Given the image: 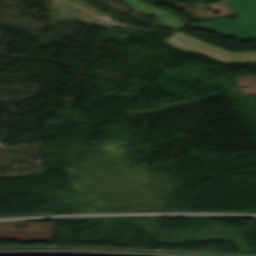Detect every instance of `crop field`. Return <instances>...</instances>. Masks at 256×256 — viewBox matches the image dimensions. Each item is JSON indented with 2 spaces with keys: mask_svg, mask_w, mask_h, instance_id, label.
Segmentation results:
<instances>
[{
  "mask_svg": "<svg viewBox=\"0 0 256 256\" xmlns=\"http://www.w3.org/2000/svg\"><path fill=\"white\" fill-rule=\"evenodd\" d=\"M126 2L127 4L133 6L135 11L138 13L156 15L161 19L159 23L166 25L170 28L177 30L179 28L186 27V25L182 23L178 17L162 9L151 7L139 0H126Z\"/></svg>",
  "mask_w": 256,
  "mask_h": 256,
  "instance_id": "34b2d1b8",
  "label": "crop field"
},
{
  "mask_svg": "<svg viewBox=\"0 0 256 256\" xmlns=\"http://www.w3.org/2000/svg\"><path fill=\"white\" fill-rule=\"evenodd\" d=\"M27 224L25 229H15L14 225ZM12 227L13 229H8ZM55 230L54 223H35V222H2L0 223V238L1 239H34V240H51L53 231ZM18 232H23L19 234ZM52 234V236H49ZM11 235V236H4ZM31 236V237H27Z\"/></svg>",
  "mask_w": 256,
  "mask_h": 256,
  "instance_id": "ac0d7876",
  "label": "crop field"
},
{
  "mask_svg": "<svg viewBox=\"0 0 256 256\" xmlns=\"http://www.w3.org/2000/svg\"><path fill=\"white\" fill-rule=\"evenodd\" d=\"M238 18L233 20L216 19L196 22L192 25L214 29L224 35H236L241 39H256V0L228 1ZM240 19L235 22L234 20Z\"/></svg>",
  "mask_w": 256,
  "mask_h": 256,
  "instance_id": "8a807250",
  "label": "crop field"
}]
</instances>
